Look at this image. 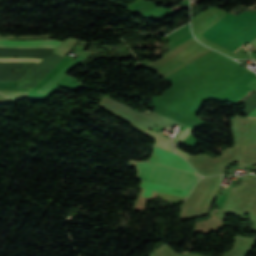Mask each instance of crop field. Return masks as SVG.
<instances>
[{"label":"crop field","instance_id":"obj_3","mask_svg":"<svg viewBox=\"0 0 256 256\" xmlns=\"http://www.w3.org/2000/svg\"><path fill=\"white\" fill-rule=\"evenodd\" d=\"M62 42L57 40H5L0 39V47H52L56 48Z\"/></svg>","mask_w":256,"mask_h":256},{"label":"crop field","instance_id":"obj_9","mask_svg":"<svg viewBox=\"0 0 256 256\" xmlns=\"http://www.w3.org/2000/svg\"><path fill=\"white\" fill-rule=\"evenodd\" d=\"M142 184H145V185H150V186H156V187H161V188H164V189H169V190H178V191H184V192H188L190 193L189 190H183V189H178V188H173V187H168V186H162V185H157V184H152V183H147V182H141Z\"/></svg>","mask_w":256,"mask_h":256},{"label":"crop field","instance_id":"obj_7","mask_svg":"<svg viewBox=\"0 0 256 256\" xmlns=\"http://www.w3.org/2000/svg\"><path fill=\"white\" fill-rule=\"evenodd\" d=\"M41 59L38 58H0V62H13V61H24V62H39Z\"/></svg>","mask_w":256,"mask_h":256},{"label":"crop field","instance_id":"obj_4","mask_svg":"<svg viewBox=\"0 0 256 256\" xmlns=\"http://www.w3.org/2000/svg\"><path fill=\"white\" fill-rule=\"evenodd\" d=\"M78 40L68 38L66 41L63 42L62 45H60L57 49L54 50V52L59 53L63 56L67 54V52L70 50V48L77 42Z\"/></svg>","mask_w":256,"mask_h":256},{"label":"crop field","instance_id":"obj_11","mask_svg":"<svg viewBox=\"0 0 256 256\" xmlns=\"http://www.w3.org/2000/svg\"><path fill=\"white\" fill-rule=\"evenodd\" d=\"M151 192H152V191H150V190H146V189H145L142 195H144V196H148V197H149V196H150V194H151Z\"/></svg>","mask_w":256,"mask_h":256},{"label":"crop field","instance_id":"obj_2","mask_svg":"<svg viewBox=\"0 0 256 256\" xmlns=\"http://www.w3.org/2000/svg\"><path fill=\"white\" fill-rule=\"evenodd\" d=\"M148 161L162 163L171 167L181 168L188 171L192 169V167L183 158L159 147H154L153 154Z\"/></svg>","mask_w":256,"mask_h":256},{"label":"crop field","instance_id":"obj_8","mask_svg":"<svg viewBox=\"0 0 256 256\" xmlns=\"http://www.w3.org/2000/svg\"><path fill=\"white\" fill-rule=\"evenodd\" d=\"M140 187L146 188V189H151V190H156V191H161V192H167V193H172V194L188 196V193L187 194H183V193H178V192H175V191H168V190H163V189L156 188V187L145 186V185H142V184H141Z\"/></svg>","mask_w":256,"mask_h":256},{"label":"crop field","instance_id":"obj_13","mask_svg":"<svg viewBox=\"0 0 256 256\" xmlns=\"http://www.w3.org/2000/svg\"><path fill=\"white\" fill-rule=\"evenodd\" d=\"M243 45H244V44H243ZM243 45H242V46H243ZM242 46H241V47H242ZM241 47H239L238 49H240ZM238 49H237V50H238ZM237 50H236V51H237ZM236 51H235V52H236Z\"/></svg>","mask_w":256,"mask_h":256},{"label":"crop field","instance_id":"obj_6","mask_svg":"<svg viewBox=\"0 0 256 256\" xmlns=\"http://www.w3.org/2000/svg\"><path fill=\"white\" fill-rule=\"evenodd\" d=\"M180 129H182L183 131L180 132V133L178 134V136L172 140L173 145H174V149H175V147L177 146V144H178L181 140H183L191 131H193V129H191V128H189V127L183 125V124H182V126L180 127Z\"/></svg>","mask_w":256,"mask_h":256},{"label":"crop field","instance_id":"obj_10","mask_svg":"<svg viewBox=\"0 0 256 256\" xmlns=\"http://www.w3.org/2000/svg\"><path fill=\"white\" fill-rule=\"evenodd\" d=\"M177 154L181 155L182 157L186 158V157H190L191 155L179 150V149H176L175 151Z\"/></svg>","mask_w":256,"mask_h":256},{"label":"crop field","instance_id":"obj_12","mask_svg":"<svg viewBox=\"0 0 256 256\" xmlns=\"http://www.w3.org/2000/svg\"><path fill=\"white\" fill-rule=\"evenodd\" d=\"M251 117H256V111H254L251 115H249Z\"/></svg>","mask_w":256,"mask_h":256},{"label":"crop field","instance_id":"obj_5","mask_svg":"<svg viewBox=\"0 0 256 256\" xmlns=\"http://www.w3.org/2000/svg\"><path fill=\"white\" fill-rule=\"evenodd\" d=\"M144 132H146V133H148V134H150V135L156 137L157 140H158L157 145H159V146H161V147H163V148H166V149H169V150L173 151L172 145H171V141H170L169 139H167V138H165V137H162V136H160V135H157V134H155V133H153V132H151V131H149V130H147V129L144 130Z\"/></svg>","mask_w":256,"mask_h":256},{"label":"crop field","instance_id":"obj_1","mask_svg":"<svg viewBox=\"0 0 256 256\" xmlns=\"http://www.w3.org/2000/svg\"><path fill=\"white\" fill-rule=\"evenodd\" d=\"M133 165L138 168V179L178 188L192 190L194 184L201 178L198 175L150 162H134Z\"/></svg>","mask_w":256,"mask_h":256}]
</instances>
